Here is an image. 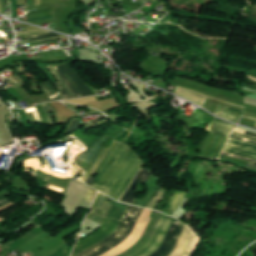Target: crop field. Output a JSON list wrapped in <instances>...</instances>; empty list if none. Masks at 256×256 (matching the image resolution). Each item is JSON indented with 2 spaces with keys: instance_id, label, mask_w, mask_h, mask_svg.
I'll list each match as a JSON object with an SVG mask.
<instances>
[{
  "instance_id": "8a807250",
  "label": "crop field",
  "mask_w": 256,
  "mask_h": 256,
  "mask_svg": "<svg viewBox=\"0 0 256 256\" xmlns=\"http://www.w3.org/2000/svg\"><path fill=\"white\" fill-rule=\"evenodd\" d=\"M143 163L132 148L115 141L95 170L99 174L91 187L119 200Z\"/></svg>"
},
{
  "instance_id": "ac0d7876",
  "label": "crop field",
  "mask_w": 256,
  "mask_h": 256,
  "mask_svg": "<svg viewBox=\"0 0 256 256\" xmlns=\"http://www.w3.org/2000/svg\"><path fill=\"white\" fill-rule=\"evenodd\" d=\"M179 222L180 221L172 223L160 249L158 248L159 250L153 253L151 256H158L159 254L162 253L163 249L165 248L166 244L168 243L169 239L171 238L172 234L177 228ZM184 225L185 224L183 223L179 224L178 228L176 229L175 233L173 234L163 253L159 256H167L170 253ZM198 240L199 238L192 232V230L189 227L185 225L177 243L175 244L172 252L168 256H189L191 252L194 250Z\"/></svg>"
},
{
  "instance_id": "34b2d1b8",
  "label": "crop field",
  "mask_w": 256,
  "mask_h": 256,
  "mask_svg": "<svg viewBox=\"0 0 256 256\" xmlns=\"http://www.w3.org/2000/svg\"><path fill=\"white\" fill-rule=\"evenodd\" d=\"M142 208L129 205L117 230L108 238L78 256H99L116 247L130 234ZM77 256V255H76Z\"/></svg>"
},
{
  "instance_id": "412701ff",
  "label": "crop field",
  "mask_w": 256,
  "mask_h": 256,
  "mask_svg": "<svg viewBox=\"0 0 256 256\" xmlns=\"http://www.w3.org/2000/svg\"><path fill=\"white\" fill-rule=\"evenodd\" d=\"M120 221L107 218L105 223L93 234L78 242L72 256H76L91 246L110 236L117 228Z\"/></svg>"
},
{
  "instance_id": "f4fd0767",
  "label": "crop field",
  "mask_w": 256,
  "mask_h": 256,
  "mask_svg": "<svg viewBox=\"0 0 256 256\" xmlns=\"http://www.w3.org/2000/svg\"><path fill=\"white\" fill-rule=\"evenodd\" d=\"M151 211L144 209L141 216L139 217L132 233L125 239V241L117 246L116 248L108 251L101 256H117L125 250L131 248L142 236L148 222Z\"/></svg>"
},
{
  "instance_id": "dd49c442",
  "label": "crop field",
  "mask_w": 256,
  "mask_h": 256,
  "mask_svg": "<svg viewBox=\"0 0 256 256\" xmlns=\"http://www.w3.org/2000/svg\"><path fill=\"white\" fill-rule=\"evenodd\" d=\"M226 139V137L210 133L201 147L199 157L218 158Z\"/></svg>"
},
{
  "instance_id": "e52e79f7",
  "label": "crop field",
  "mask_w": 256,
  "mask_h": 256,
  "mask_svg": "<svg viewBox=\"0 0 256 256\" xmlns=\"http://www.w3.org/2000/svg\"><path fill=\"white\" fill-rule=\"evenodd\" d=\"M222 151L242 155L256 160V145L250 143L229 138Z\"/></svg>"
},
{
  "instance_id": "d8731c3e",
  "label": "crop field",
  "mask_w": 256,
  "mask_h": 256,
  "mask_svg": "<svg viewBox=\"0 0 256 256\" xmlns=\"http://www.w3.org/2000/svg\"><path fill=\"white\" fill-rule=\"evenodd\" d=\"M107 197L103 196L102 194H98L94 204L93 210L87 215V218L93 219L101 224L104 223L112 204L106 202Z\"/></svg>"
},
{
  "instance_id": "5a996713",
  "label": "crop field",
  "mask_w": 256,
  "mask_h": 256,
  "mask_svg": "<svg viewBox=\"0 0 256 256\" xmlns=\"http://www.w3.org/2000/svg\"><path fill=\"white\" fill-rule=\"evenodd\" d=\"M59 68L66 74V76L75 85V87L81 93L82 97L94 95L93 92L84 83L82 78L74 70H72L68 65L60 66Z\"/></svg>"
},
{
  "instance_id": "3316defc",
  "label": "crop field",
  "mask_w": 256,
  "mask_h": 256,
  "mask_svg": "<svg viewBox=\"0 0 256 256\" xmlns=\"http://www.w3.org/2000/svg\"><path fill=\"white\" fill-rule=\"evenodd\" d=\"M150 175L151 174L149 171L140 170V172L138 173V175L136 176L130 187L127 189L120 201L132 204L136 196L133 192L135 187L138 183H145Z\"/></svg>"
},
{
  "instance_id": "28ad6ade",
  "label": "crop field",
  "mask_w": 256,
  "mask_h": 256,
  "mask_svg": "<svg viewBox=\"0 0 256 256\" xmlns=\"http://www.w3.org/2000/svg\"><path fill=\"white\" fill-rule=\"evenodd\" d=\"M109 139L107 136H103L98 143L89 151L86 148H82L80 152L75 156L85 163L89 164L92 162L94 156L97 154L101 146Z\"/></svg>"
},
{
  "instance_id": "d1516ede",
  "label": "crop field",
  "mask_w": 256,
  "mask_h": 256,
  "mask_svg": "<svg viewBox=\"0 0 256 256\" xmlns=\"http://www.w3.org/2000/svg\"><path fill=\"white\" fill-rule=\"evenodd\" d=\"M235 127H236L235 125L228 124L226 122H223V121L215 118L213 120V122L209 125V127L207 128V131L228 137V135L231 133V131Z\"/></svg>"
},
{
  "instance_id": "22f410ed",
  "label": "crop field",
  "mask_w": 256,
  "mask_h": 256,
  "mask_svg": "<svg viewBox=\"0 0 256 256\" xmlns=\"http://www.w3.org/2000/svg\"><path fill=\"white\" fill-rule=\"evenodd\" d=\"M166 218V215L161 214L160 218L158 219L149 239L145 242V244L136 252H134L133 254H131L130 256H139L140 254H142L155 240L164 220Z\"/></svg>"
},
{
  "instance_id": "cbeb9de0",
  "label": "crop field",
  "mask_w": 256,
  "mask_h": 256,
  "mask_svg": "<svg viewBox=\"0 0 256 256\" xmlns=\"http://www.w3.org/2000/svg\"><path fill=\"white\" fill-rule=\"evenodd\" d=\"M186 194L187 193H185V192L176 191V193L173 195V197L170 199V201L167 203V205L162 210L163 213L171 216L172 213L175 211V209L179 206V204L185 198Z\"/></svg>"
},
{
  "instance_id": "5142ce71",
  "label": "crop field",
  "mask_w": 256,
  "mask_h": 256,
  "mask_svg": "<svg viewBox=\"0 0 256 256\" xmlns=\"http://www.w3.org/2000/svg\"><path fill=\"white\" fill-rule=\"evenodd\" d=\"M215 114L220 115L232 122L238 123L239 117L242 114V111L236 110V109H231L223 106H218L217 110L215 111ZM219 116V117H220Z\"/></svg>"
},
{
  "instance_id": "d9b57169",
  "label": "crop field",
  "mask_w": 256,
  "mask_h": 256,
  "mask_svg": "<svg viewBox=\"0 0 256 256\" xmlns=\"http://www.w3.org/2000/svg\"><path fill=\"white\" fill-rule=\"evenodd\" d=\"M58 79V81L60 82V84L62 85V87L57 84V88L60 90L61 94L63 95L64 99H68V98H75L73 92L67 87V85L62 81V79L60 78V76L57 74V72L52 68L49 67L48 68Z\"/></svg>"
},
{
  "instance_id": "733c2abd",
  "label": "crop field",
  "mask_w": 256,
  "mask_h": 256,
  "mask_svg": "<svg viewBox=\"0 0 256 256\" xmlns=\"http://www.w3.org/2000/svg\"><path fill=\"white\" fill-rule=\"evenodd\" d=\"M106 151H107V149H105L103 147L100 149V151L98 152V154L94 158L93 162L91 163L90 167L88 168L87 172L81 178L82 180L85 181L92 174V172L97 167L98 163L100 162V160L102 159V157H103V155L105 154Z\"/></svg>"
},
{
  "instance_id": "4a817a6b",
  "label": "crop field",
  "mask_w": 256,
  "mask_h": 256,
  "mask_svg": "<svg viewBox=\"0 0 256 256\" xmlns=\"http://www.w3.org/2000/svg\"><path fill=\"white\" fill-rule=\"evenodd\" d=\"M42 85L52 100H62L61 95L50 81L42 83Z\"/></svg>"
},
{
  "instance_id": "bc2a9ffb",
  "label": "crop field",
  "mask_w": 256,
  "mask_h": 256,
  "mask_svg": "<svg viewBox=\"0 0 256 256\" xmlns=\"http://www.w3.org/2000/svg\"><path fill=\"white\" fill-rule=\"evenodd\" d=\"M74 245L69 247L67 244V245L63 246L62 248H60L59 250H57L56 252H54L53 254H51L50 256H70Z\"/></svg>"
},
{
  "instance_id": "214f88e0",
  "label": "crop field",
  "mask_w": 256,
  "mask_h": 256,
  "mask_svg": "<svg viewBox=\"0 0 256 256\" xmlns=\"http://www.w3.org/2000/svg\"><path fill=\"white\" fill-rule=\"evenodd\" d=\"M55 70L60 74V76L62 77L63 81L72 89V91L74 92V94L76 95L77 98H80L81 95L80 93L76 90V88L70 83V81L63 75V73L59 70L58 67H54Z\"/></svg>"
},
{
  "instance_id": "92a150f3",
  "label": "crop field",
  "mask_w": 256,
  "mask_h": 256,
  "mask_svg": "<svg viewBox=\"0 0 256 256\" xmlns=\"http://www.w3.org/2000/svg\"><path fill=\"white\" fill-rule=\"evenodd\" d=\"M57 36H61V35L50 33V34H44V35L29 36V37H26V39H27V41H30V40L42 39V38H53V37H57Z\"/></svg>"
},
{
  "instance_id": "dafd665d",
  "label": "crop field",
  "mask_w": 256,
  "mask_h": 256,
  "mask_svg": "<svg viewBox=\"0 0 256 256\" xmlns=\"http://www.w3.org/2000/svg\"><path fill=\"white\" fill-rule=\"evenodd\" d=\"M41 105H42L43 109L45 110V112H46V114H47V116L49 118L50 125L55 124L54 117H53V115H52V113L50 111L48 103L41 104Z\"/></svg>"
},
{
  "instance_id": "00972430",
  "label": "crop field",
  "mask_w": 256,
  "mask_h": 256,
  "mask_svg": "<svg viewBox=\"0 0 256 256\" xmlns=\"http://www.w3.org/2000/svg\"><path fill=\"white\" fill-rule=\"evenodd\" d=\"M43 33H49V32L43 31V30L30 31V32H21V33H17V37L29 36V35H36V34H43Z\"/></svg>"
},
{
  "instance_id": "a9b5d70f",
  "label": "crop field",
  "mask_w": 256,
  "mask_h": 256,
  "mask_svg": "<svg viewBox=\"0 0 256 256\" xmlns=\"http://www.w3.org/2000/svg\"><path fill=\"white\" fill-rule=\"evenodd\" d=\"M221 154L227 155V156H230V157H234V158H238V159H242V160H246V161H249V162H252V163L256 164L255 160H252V159H249V158H245V157H241V156H237V155H233V154H229V153H224V152H222Z\"/></svg>"
},
{
  "instance_id": "4177f3b9",
  "label": "crop field",
  "mask_w": 256,
  "mask_h": 256,
  "mask_svg": "<svg viewBox=\"0 0 256 256\" xmlns=\"http://www.w3.org/2000/svg\"><path fill=\"white\" fill-rule=\"evenodd\" d=\"M96 193H97L96 191H94L92 189H89V191H88V193H87V195L85 197V200L93 201Z\"/></svg>"
},
{
  "instance_id": "730fd06b",
  "label": "crop field",
  "mask_w": 256,
  "mask_h": 256,
  "mask_svg": "<svg viewBox=\"0 0 256 256\" xmlns=\"http://www.w3.org/2000/svg\"><path fill=\"white\" fill-rule=\"evenodd\" d=\"M59 38H65L64 36L53 38V39H59ZM46 40H52V39H42V40H35V41H30V42H21L17 44H30V43H35V42H41V41H46Z\"/></svg>"
},
{
  "instance_id": "eef30255",
  "label": "crop field",
  "mask_w": 256,
  "mask_h": 256,
  "mask_svg": "<svg viewBox=\"0 0 256 256\" xmlns=\"http://www.w3.org/2000/svg\"><path fill=\"white\" fill-rule=\"evenodd\" d=\"M230 138H234V139H238V140H242V141H246V142H250V143L256 144L255 141H251V140L244 139V138L237 137V136H233V135H231Z\"/></svg>"
},
{
  "instance_id": "ae1a2a85",
  "label": "crop field",
  "mask_w": 256,
  "mask_h": 256,
  "mask_svg": "<svg viewBox=\"0 0 256 256\" xmlns=\"http://www.w3.org/2000/svg\"><path fill=\"white\" fill-rule=\"evenodd\" d=\"M51 17H42V18H34V19H29L27 20V22H31V21H39V20H45V19H50Z\"/></svg>"
},
{
  "instance_id": "d3111659",
  "label": "crop field",
  "mask_w": 256,
  "mask_h": 256,
  "mask_svg": "<svg viewBox=\"0 0 256 256\" xmlns=\"http://www.w3.org/2000/svg\"><path fill=\"white\" fill-rule=\"evenodd\" d=\"M234 135H238V136H241V137H245V138H249V139H251V140H255L256 141V139L255 138H251V137H248V136H245V135H242V134H238V133H233Z\"/></svg>"
},
{
  "instance_id": "750c4746",
  "label": "crop field",
  "mask_w": 256,
  "mask_h": 256,
  "mask_svg": "<svg viewBox=\"0 0 256 256\" xmlns=\"http://www.w3.org/2000/svg\"><path fill=\"white\" fill-rule=\"evenodd\" d=\"M242 90H244V91H248V92L256 93V91H255V90L249 89V88L244 87V86H243Z\"/></svg>"
},
{
  "instance_id": "bd1437ed",
  "label": "crop field",
  "mask_w": 256,
  "mask_h": 256,
  "mask_svg": "<svg viewBox=\"0 0 256 256\" xmlns=\"http://www.w3.org/2000/svg\"><path fill=\"white\" fill-rule=\"evenodd\" d=\"M10 202L6 199L2 202H0V207L3 206V205H6V204H9Z\"/></svg>"
},
{
  "instance_id": "1d83c4d3",
  "label": "crop field",
  "mask_w": 256,
  "mask_h": 256,
  "mask_svg": "<svg viewBox=\"0 0 256 256\" xmlns=\"http://www.w3.org/2000/svg\"><path fill=\"white\" fill-rule=\"evenodd\" d=\"M248 168L256 169V165L249 163Z\"/></svg>"
},
{
  "instance_id": "120bbe31",
  "label": "crop field",
  "mask_w": 256,
  "mask_h": 256,
  "mask_svg": "<svg viewBox=\"0 0 256 256\" xmlns=\"http://www.w3.org/2000/svg\"><path fill=\"white\" fill-rule=\"evenodd\" d=\"M8 196L5 194L3 196L0 197V201H2L3 199L7 198Z\"/></svg>"
},
{
  "instance_id": "d32e631a",
  "label": "crop field",
  "mask_w": 256,
  "mask_h": 256,
  "mask_svg": "<svg viewBox=\"0 0 256 256\" xmlns=\"http://www.w3.org/2000/svg\"><path fill=\"white\" fill-rule=\"evenodd\" d=\"M242 117H244V118H248V119H251V120H255V121H256V119H255V118H252V117H248V116H245V115H243Z\"/></svg>"
},
{
  "instance_id": "5866460e",
  "label": "crop field",
  "mask_w": 256,
  "mask_h": 256,
  "mask_svg": "<svg viewBox=\"0 0 256 256\" xmlns=\"http://www.w3.org/2000/svg\"><path fill=\"white\" fill-rule=\"evenodd\" d=\"M243 85L248 86V87H252V88H256V86H252V85H248V84H244V83H243Z\"/></svg>"
},
{
  "instance_id": "028f5c9d",
  "label": "crop field",
  "mask_w": 256,
  "mask_h": 256,
  "mask_svg": "<svg viewBox=\"0 0 256 256\" xmlns=\"http://www.w3.org/2000/svg\"><path fill=\"white\" fill-rule=\"evenodd\" d=\"M247 135H250V136H253V137L256 138V134H252V133L247 132Z\"/></svg>"
},
{
  "instance_id": "e1f06a70",
  "label": "crop field",
  "mask_w": 256,
  "mask_h": 256,
  "mask_svg": "<svg viewBox=\"0 0 256 256\" xmlns=\"http://www.w3.org/2000/svg\"><path fill=\"white\" fill-rule=\"evenodd\" d=\"M247 78H249V79H252V80H255V81H256V78L251 77V76H249V75H248V77H247Z\"/></svg>"
},
{
  "instance_id": "0bd39190",
  "label": "crop field",
  "mask_w": 256,
  "mask_h": 256,
  "mask_svg": "<svg viewBox=\"0 0 256 256\" xmlns=\"http://www.w3.org/2000/svg\"><path fill=\"white\" fill-rule=\"evenodd\" d=\"M247 81L252 83V84H254V85H256V82H254V81H251V80H247Z\"/></svg>"
}]
</instances>
